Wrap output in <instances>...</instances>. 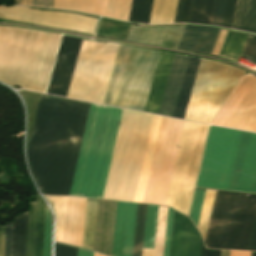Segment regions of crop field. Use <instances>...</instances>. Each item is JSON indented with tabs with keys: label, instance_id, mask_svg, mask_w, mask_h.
Segmentation results:
<instances>
[{
	"label": "crop field",
	"instance_id": "8a807250",
	"mask_svg": "<svg viewBox=\"0 0 256 256\" xmlns=\"http://www.w3.org/2000/svg\"><path fill=\"white\" fill-rule=\"evenodd\" d=\"M89 106L41 94L27 156L42 194L68 195Z\"/></svg>",
	"mask_w": 256,
	"mask_h": 256
},
{
	"label": "crop field",
	"instance_id": "ac0d7876",
	"mask_svg": "<svg viewBox=\"0 0 256 256\" xmlns=\"http://www.w3.org/2000/svg\"><path fill=\"white\" fill-rule=\"evenodd\" d=\"M82 41L63 36L47 93L67 96ZM118 46L84 40L67 97L102 104Z\"/></svg>",
	"mask_w": 256,
	"mask_h": 256
},
{
	"label": "crop field",
	"instance_id": "34b2d1b8",
	"mask_svg": "<svg viewBox=\"0 0 256 256\" xmlns=\"http://www.w3.org/2000/svg\"><path fill=\"white\" fill-rule=\"evenodd\" d=\"M121 112L91 104L69 195L101 199Z\"/></svg>",
	"mask_w": 256,
	"mask_h": 256
},
{
	"label": "crop field",
	"instance_id": "412701ff",
	"mask_svg": "<svg viewBox=\"0 0 256 256\" xmlns=\"http://www.w3.org/2000/svg\"><path fill=\"white\" fill-rule=\"evenodd\" d=\"M158 52L119 47L105 104L144 109Z\"/></svg>",
	"mask_w": 256,
	"mask_h": 256
},
{
	"label": "crop field",
	"instance_id": "f4fd0767",
	"mask_svg": "<svg viewBox=\"0 0 256 256\" xmlns=\"http://www.w3.org/2000/svg\"><path fill=\"white\" fill-rule=\"evenodd\" d=\"M255 215L256 195L217 191L207 247L247 250Z\"/></svg>",
	"mask_w": 256,
	"mask_h": 256
},
{
	"label": "crop field",
	"instance_id": "dd49c442",
	"mask_svg": "<svg viewBox=\"0 0 256 256\" xmlns=\"http://www.w3.org/2000/svg\"><path fill=\"white\" fill-rule=\"evenodd\" d=\"M244 73L201 58L184 119L211 123Z\"/></svg>",
	"mask_w": 256,
	"mask_h": 256
},
{
	"label": "crop field",
	"instance_id": "e52e79f7",
	"mask_svg": "<svg viewBox=\"0 0 256 256\" xmlns=\"http://www.w3.org/2000/svg\"><path fill=\"white\" fill-rule=\"evenodd\" d=\"M209 126L185 121L165 205L188 215Z\"/></svg>",
	"mask_w": 256,
	"mask_h": 256
},
{
	"label": "crop field",
	"instance_id": "d8731c3e",
	"mask_svg": "<svg viewBox=\"0 0 256 256\" xmlns=\"http://www.w3.org/2000/svg\"><path fill=\"white\" fill-rule=\"evenodd\" d=\"M240 134L211 126L196 186L227 190Z\"/></svg>",
	"mask_w": 256,
	"mask_h": 256
},
{
	"label": "crop field",
	"instance_id": "5a996713",
	"mask_svg": "<svg viewBox=\"0 0 256 256\" xmlns=\"http://www.w3.org/2000/svg\"><path fill=\"white\" fill-rule=\"evenodd\" d=\"M183 123L163 117L143 203L164 205Z\"/></svg>",
	"mask_w": 256,
	"mask_h": 256
},
{
	"label": "crop field",
	"instance_id": "3316defc",
	"mask_svg": "<svg viewBox=\"0 0 256 256\" xmlns=\"http://www.w3.org/2000/svg\"><path fill=\"white\" fill-rule=\"evenodd\" d=\"M173 55L174 54L164 52L160 54L144 110L146 112L155 114L158 112ZM188 58L189 57L186 56L174 55L158 114L170 117L173 116Z\"/></svg>",
	"mask_w": 256,
	"mask_h": 256
},
{
	"label": "crop field",
	"instance_id": "28ad6ade",
	"mask_svg": "<svg viewBox=\"0 0 256 256\" xmlns=\"http://www.w3.org/2000/svg\"><path fill=\"white\" fill-rule=\"evenodd\" d=\"M228 190L256 193V134L242 132Z\"/></svg>",
	"mask_w": 256,
	"mask_h": 256
},
{
	"label": "crop field",
	"instance_id": "d1516ede",
	"mask_svg": "<svg viewBox=\"0 0 256 256\" xmlns=\"http://www.w3.org/2000/svg\"><path fill=\"white\" fill-rule=\"evenodd\" d=\"M136 208L117 202L111 256H132Z\"/></svg>",
	"mask_w": 256,
	"mask_h": 256
},
{
	"label": "crop field",
	"instance_id": "22f410ed",
	"mask_svg": "<svg viewBox=\"0 0 256 256\" xmlns=\"http://www.w3.org/2000/svg\"><path fill=\"white\" fill-rule=\"evenodd\" d=\"M199 233L188 217L174 211L170 256H199Z\"/></svg>",
	"mask_w": 256,
	"mask_h": 256
},
{
	"label": "crop field",
	"instance_id": "cbeb9de0",
	"mask_svg": "<svg viewBox=\"0 0 256 256\" xmlns=\"http://www.w3.org/2000/svg\"><path fill=\"white\" fill-rule=\"evenodd\" d=\"M183 30V26L155 28L131 26L126 39L177 48Z\"/></svg>",
	"mask_w": 256,
	"mask_h": 256
},
{
	"label": "crop field",
	"instance_id": "5142ce71",
	"mask_svg": "<svg viewBox=\"0 0 256 256\" xmlns=\"http://www.w3.org/2000/svg\"><path fill=\"white\" fill-rule=\"evenodd\" d=\"M85 203L86 199L67 197L62 242L81 247Z\"/></svg>",
	"mask_w": 256,
	"mask_h": 256
},
{
	"label": "crop field",
	"instance_id": "d9b57169",
	"mask_svg": "<svg viewBox=\"0 0 256 256\" xmlns=\"http://www.w3.org/2000/svg\"><path fill=\"white\" fill-rule=\"evenodd\" d=\"M219 31L214 28L186 26L178 49L211 54Z\"/></svg>",
	"mask_w": 256,
	"mask_h": 256
},
{
	"label": "crop field",
	"instance_id": "733c2abd",
	"mask_svg": "<svg viewBox=\"0 0 256 256\" xmlns=\"http://www.w3.org/2000/svg\"><path fill=\"white\" fill-rule=\"evenodd\" d=\"M255 81L256 78L250 75L243 77L212 124L224 126Z\"/></svg>",
	"mask_w": 256,
	"mask_h": 256
},
{
	"label": "crop field",
	"instance_id": "4a817a6b",
	"mask_svg": "<svg viewBox=\"0 0 256 256\" xmlns=\"http://www.w3.org/2000/svg\"><path fill=\"white\" fill-rule=\"evenodd\" d=\"M233 29L256 34V0H238Z\"/></svg>",
	"mask_w": 256,
	"mask_h": 256
},
{
	"label": "crop field",
	"instance_id": "bc2a9ffb",
	"mask_svg": "<svg viewBox=\"0 0 256 256\" xmlns=\"http://www.w3.org/2000/svg\"><path fill=\"white\" fill-rule=\"evenodd\" d=\"M199 60H200L199 58H194V57L189 58L186 73L184 76L181 91L179 94V98H178L176 109H175L174 116H173L175 118L183 119L186 105L188 102V98L190 95V91H191L193 81L195 78V74L197 71V67L199 64Z\"/></svg>",
	"mask_w": 256,
	"mask_h": 256
},
{
	"label": "crop field",
	"instance_id": "214f88e0",
	"mask_svg": "<svg viewBox=\"0 0 256 256\" xmlns=\"http://www.w3.org/2000/svg\"><path fill=\"white\" fill-rule=\"evenodd\" d=\"M237 0H216L211 25L232 29Z\"/></svg>",
	"mask_w": 256,
	"mask_h": 256
},
{
	"label": "crop field",
	"instance_id": "92a150f3",
	"mask_svg": "<svg viewBox=\"0 0 256 256\" xmlns=\"http://www.w3.org/2000/svg\"><path fill=\"white\" fill-rule=\"evenodd\" d=\"M27 212L14 218L11 256H25Z\"/></svg>",
	"mask_w": 256,
	"mask_h": 256
},
{
	"label": "crop field",
	"instance_id": "dafd665d",
	"mask_svg": "<svg viewBox=\"0 0 256 256\" xmlns=\"http://www.w3.org/2000/svg\"><path fill=\"white\" fill-rule=\"evenodd\" d=\"M247 36L246 34L228 31L219 56L238 62Z\"/></svg>",
	"mask_w": 256,
	"mask_h": 256
},
{
	"label": "crop field",
	"instance_id": "00972430",
	"mask_svg": "<svg viewBox=\"0 0 256 256\" xmlns=\"http://www.w3.org/2000/svg\"><path fill=\"white\" fill-rule=\"evenodd\" d=\"M158 206L147 205L143 248L153 249ZM143 249L142 256H152L153 250Z\"/></svg>",
	"mask_w": 256,
	"mask_h": 256
},
{
	"label": "crop field",
	"instance_id": "a9b5d70f",
	"mask_svg": "<svg viewBox=\"0 0 256 256\" xmlns=\"http://www.w3.org/2000/svg\"><path fill=\"white\" fill-rule=\"evenodd\" d=\"M44 213H45V204L40 198V196L37 195L36 211H35L33 256H42Z\"/></svg>",
	"mask_w": 256,
	"mask_h": 256
},
{
	"label": "crop field",
	"instance_id": "4177f3b9",
	"mask_svg": "<svg viewBox=\"0 0 256 256\" xmlns=\"http://www.w3.org/2000/svg\"><path fill=\"white\" fill-rule=\"evenodd\" d=\"M215 0H194L190 23L210 25Z\"/></svg>",
	"mask_w": 256,
	"mask_h": 256
},
{
	"label": "crop field",
	"instance_id": "730fd06b",
	"mask_svg": "<svg viewBox=\"0 0 256 256\" xmlns=\"http://www.w3.org/2000/svg\"><path fill=\"white\" fill-rule=\"evenodd\" d=\"M153 0H133L129 21L149 24Z\"/></svg>",
	"mask_w": 256,
	"mask_h": 256
},
{
	"label": "crop field",
	"instance_id": "eef30255",
	"mask_svg": "<svg viewBox=\"0 0 256 256\" xmlns=\"http://www.w3.org/2000/svg\"><path fill=\"white\" fill-rule=\"evenodd\" d=\"M132 0H108L107 17L128 21Z\"/></svg>",
	"mask_w": 256,
	"mask_h": 256
},
{
	"label": "crop field",
	"instance_id": "ae1a2a85",
	"mask_svg": "<svg viewBox=\"0 0 256 256\" xmlns=\"http://www.w3.org/2000/svg\"><path fill=\"white\" fill-rule=\"evenodd\" d=\"M146 205L138 204L133 256H141Z\"/></svg>",
	"mask_w": 256,
	"mask_h": 256
},
{
	"label": "crop field",
	"instance_id": "d3111659",
	"mask_svg": "<svg viewBox=\"0 0 256 256\" xmlns=\"http://www.w3.org/2000/svg\"><path fill=\"white\" fill-rule=\"evenodd\" d=\"M193 0H178L175 21L189 23L192 10Z\"/></svg>",
	"mask_w": 256,
	"mask_h": 256
},
{
	"label": "crop field",
	"instance_id": "750c4746",
	"mask_svg": "<svg viewBox=\"0 0 256 256\" xmlns=\"http://www.w3.org/2000/svg\"><path fill=\"white\" fill-rule=\"evenodd\" d=\"M206 190L196 189L189 216L198 225Z\"/></svg>",
	"mask_w": 256,
	"mask_h": 256
},
{
	"label": "crop field",
	"instance_id": "bd1437ed",
	"mask_svg": "<svg viewBox=\"0 0 256 256\" xmlns=\"http://www.w3.org/2000/svg\"><path fill=\"white\" fill-rule=\"evenodd\" d=\"M35 203H30L27 221L26 256H32Z\"/></svg>",
	"mask_w": 256,
	"mask_h": 256
},
{
	"label": "crop field",
	"instance_id": "1d83c4d3",
	"mask_svg": "<svg viewBox=\"0 0 256 256\" xmlns=\"http://www.w3.org/2000/svg\"><path fill=\"white\" fill-rule=\"evenodd\" d=\"M242 57L250 58V60L256 63V36L249 35L246 41Z\"/></svg>",
	"mask_w": 256,
	"mask_h": 256
},
{
	"label": "crop field",
	"instance_id": "120bbe31",
	"mask_svg": "<svg viewBox=\"0 0 256 256\" xmlns=\"http://www.w3.org/2000/svg\"><path fill=\"white\" fill-rule=\"evenodd\" d=\"M51 217L46 208L43 256H50Z\"/></svg>",
	"mask_w": 256,
	"mask_h": 256
},
{
	"label": "crop field",
	"instance_id": "d32e631a",
	"mask_svg": "<svg viewBox=\"0 0 256 256\" xmlns=\"http://www.w3.org/2000/svg\"><path fill=\"white\" fill-rule=\"evenodd\" d=\"M15 5L53 8L54 0H16Z\"/></svg>",
	"mask_w": 256,
	"mask_h": 256
},
{
	"label": "crop field",
	"instance_id": "5866460e",
	"mask_svg": "<svg viewBox=\"0 0 256 256\" xmlns=\"http://www.w3.org/2000/svg\"><path fill=\"white\" fill-rule=\"evenodd\" d=\"M77 248L55 243V256H76Z\"/></svg>",
	"mask_w": 256,
	"mask_h": 256
},
{
	"label": "crop field",
	"instance_id": "028f5c9d",
	"mask_svg": "<svg viewBox=\"0 0 256 256\" xmlns=\"http://www.w3.org/2000/svg\"><path fill=\"white\" fill-rule=\"evenodd\" d=\"M172 214H173V210L169 208L168 221H167V230H166V239H165V248H164V256H168V252H169Z\"/></svg>",
	"mask_w": 256,
	"mask_h": 256
},
{
	"label": "crop field",
	"instance_id": "e1f06a70",
	"mask_svg": "<svg viewBox=\"0 0 256 256\" xmlns=\"http://www.w3.org/2000/svg\"><path fill=\"white\" fill-rule=\"evenodd\" d=\"M11 233H12V224H6L4 256H10V251H11Z\"/></svg>",
	"mask_w": 256,
	"mask_h": 256
},
{
	"label": "crop field",
	"instance_id": "0bd39190",
	"mask_svg": "<svg viewBox=\"0 0 256 256\" xmlns=\"http://www.w3.org/2000/svg\"><path fill=\"white\" fill-rule=\"evenodd\" d=\"M248 250H255L256 251V219H255V223H254V227H253L252 236H251V240H250Z\"/></svg>",
	"mask_w": 256,
	"mask_h": 256
},
{
	"label": "crop field",
	"instance_id": "b80d0937",
	"mask_svg": "<svg viewBox=\"0 0 256 256\" xmlns=\"http://www.w3.org/2000/svg\"><path fill=\"white\" fill-rule=\"evenodd\" d=\"M4 236H5V225H0V256H3Z\"/></svg>",
	"mask_w": 256,
	"mask_h": 256
},
{
	"label": "crop field",
	"instance_id": "c035e120",
	"mask_svg": "<svg viewBox=\"0 0 256 256\" xmlns=\"http://www.w3.org/2000/svg\"><path fill=\"white\" fill-rule=\"evenodd\" d=\"M230 256H251V252L230 251Z\"/></svg>",
	"mask_w": 256,
	"mask_h": 256
},
{
	"label": "crop field",
	"instance_id": "c21b1889",
	"mask_svg": "<svg viewBox=\"0 0 256 256\" xmlns=\"http://www.w3.org/2000/svg\"><path fill=\"white\" fill-rule=\"evenodd\" d=\"M205 256H220V250L206 249Z\"/></svg>",
	"mask_w": 256,
	"mask_h": 256
},
{
	"label": "crop field",
	"instance_id": "03da06ac",
	"mask_svg": "<svg viewBox=\"0 0 256 256\" xmlns=\"http://www.w3.org/2000/svg\"><path fill=\"white\" fill-rule=\"evenodd\" d=\"M77 256H93V252L78 248Z\"/></svg>",
	"mask_w": 256,
	"mask_h": 256
},
{
	"label": "crop field",
	"instance_id": "b54c1fbb",
	"mask_svg": "<svg viewBox=\"0 0 256 256\" xmlns=\"http://www.w3.org/2000/svg\"><path fill=\"white\" fill-rule=\"evenodd\" d=\"M205 254V247L203 241L201 240V248H200V256H204Z\"/></svg>",
	"mask_w": 256,
	"mask_h": 256
},
{
	"label": "crop field",
	"instance_id": "5d738f31",
	"mask_svg": "<svg viewBox=\"0 0 256 256\" xmlns=\"http://www.w3.org/2000/svg\"><path fill=\"white\" fill-rule=\"evenodd\" d=\"M94 256H102V255H100V254H97V253H95V252H94Z\"/></svg>",
	"mask_w": 256,
	"mask_h": 256
},
{
	"label": "crop field",
	"instance_id": "d23c7cc5",
	"mask_svg": "<svg viewBox=\"0 0 256 256\" xmlns=\"http://www.w3.org/2000/svg\"><path fill=\"white\" fill-rule=\"evenodd\" d=\"M252 256H256V252H252Z\"/></svg>",
	"mask_w": 256,
	"mask_h": 256
}]
</instances>
